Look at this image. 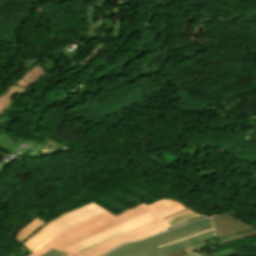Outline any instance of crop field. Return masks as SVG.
Instances as JSON below:
<instances>
[{"label": "crop field", "instance_id": "crop-field-1", "mask_svg": "<svg viewBox=\"0 0 256 256\" xmlns=\"http://www.w3.org/2000/svg\"><path fill=\"white\" fill-rule=\"evenodd\" d=\"M169 229L144 203L115 217L105 211L79 222L50 238L29 256H42L52 248L76 256H100L124 242Z\"/></svg>", "mask_w": 256, "mask_h": 256}, {"label": "crop field", "instance_id": "crop-field-10", "mask_svg": "<svg viewBox=\"0 0 256 256\" xmlns=\"http://www.w3.org/2000/svg\"><path fill=\"white\" fill-rule=\"evenodd\" d=\"M108 0H100L92 9V13L97 16H104L105 10L104 5L106 4Z\"/></svg>", "mask_w": 256, "mask_h": 256}, {"label": "crop field", "instance_id": "crop-field-4", "mask_svg": "<svg viewBox=\"0 0 256 256\" xmlns=\"http://www.w3.org/2000/svg\"><path fill=\"white\" fill-rule=\"evenodd\" d=\"M50 75L52 73L39 64L24 74L0 96V127L7 122V117L9 116L7 110L14 101L12 96L17 93L26 92L25 90L32 87L39 79Z\"/></svg>", "mask_w": 256, "mask_h": 256}, {"label": "crop field", "instance_id": "crop-field-6", "mask_svg": "<svg viewBox=\"0 0 256 256\" xmlns=\"http://www.w3.org/2000/svg\"><path fill=\"white\" fill-rule=\"evenodd\" d=\"M5 128L1 129L0 130V147L2 149H4L5 151L11 153L12 151L18 153V150H19V147L20 145H22L21 143L22 142H29V141H25V140H18V139H14V138H10L8 137V135L5 134ZM29 143H33V144H36L37 147L35 149H33L29 154H28V157H35L37 155V153L42 149V147L44 146L43 144H38V143H34V142H29ZM29 145V144H28ZM27 145V146H28ZM26 146V147H27ZM25 147V148H26ZM23 147H21V155H23L27 149H25ZM24 156V155H23ZM22 156V157H23Z\"/></svg>", "mask_w": 256, "mask_h": 256}, {"label": "crop field", "instance_id": "crop-field-11", "mask_svg": "<svg viewBox=\"0 0 256 256\" xmlns=\"http://www.w3.org/2000/svg\"><path fill=\"white\" fill-rule=\"evenodd\" d=\"M66 254H63V253H60L58 251H55V250H50L48 253H46L45 255L43 256H65Z\"/></svg>", "mask_w": 256, "mask_h": 256}, {"label": "crop field", "instance_id": "crop-field-9", "mask_svg": "<svg viewBox=\"0 0 256 256\" xmlns=\"http://www.w3.org/2000/svg\"><path fill=\"white\" fill-rule=\"evenodd\" d=\"M46 224L44 221L36 218L31 223L27 224L16 236L15 238L21 243L33 234L36 230H38L41 226Z\"/></svg>", "mask_w": 256, "mask_h": 256}, {"label": "crop field", "instance_id": "crop-field-3", "mask_svg": "<svg viewBox=\"0 0 256 256\" xmlns=\"http://www.w3.org/2000/svg\"><path fill=\"white\" fill-rule=\"evenodd\" d=\"M101 211L105 210L92 203L68 214H65L44 226L39 230L38 233H35L34 236L27 240L23 245L32 253L43 246L42 243L56 233Z\"/></svg>", "mask_w": 256, "mask_h": 256}, {"label": "crop field", "instance_id": "crop-field-7", "mask_svg": "<svg viewBox=\"0 0 256 256\" xmlns=\"http://www.w3.org/2000/svg\"><path fill=\"white\" fill-rule=\"evenodd\" d=\"M149 207L162 219L168 215L187 209L182 204L166 198L149 205Z\"/></svg>", "mask_w": 256, "mask_h": 256}, {"label": "crop field", "instance_id": "crop-field-5", "mask_svg": "<svg viewBox=\"0 0 256 256\" xmlns=\"http://www.w3.org/2000/svg\"><path fill=\"white\" fill-rule=\"evenodd\" d=\"M212 219L217 234L216 245L256 235L255 228L235 219L229 214L212 217ZM229 235L232 237L227 240L218 239Z\"/></svg>", "mask_w": 256, "mask_h": 256}, {"label": "crop field", "instance_id": "crop-field-8", "mask_svg": "<svg viewBox=\"0 0 256 256\" xmlns=\"http://www.w3.org/2000/svg\"><path fill=\"white\" fill-rule=\"evenodd\" d=\"M201 217L202 216L187 209V210L181 211L179 213L173 214V215L163 219V221H165L169 226L174 228V227L180 226L182 224H185L191 220H195V219H198Z\"/></svg>", "mask_w": 256, "mask_h": 256}, {"label": "crop field", "instance_id": "crop-field-2", "mask_svg": "<svg viewBox=\"0 0 256 256\" xmlns=\"http://www.w3.org/2000/svg\"><path fill=\"white\" fill-rule=\"evenodd\" d=\"M210 219H200L173 229L167 233L159 234L138 242L127 243L103 256H166L189 246L208 241L215 237L214 230L185 239L183 241L157 249L156 247L182 239L184 237L211 229ZM184 256H199L196 252Z\"/></svg>", "mask_w": 256, "mask_h": 256}, {"label": "crop field", "instance_id": "crop-field-14", "mask_svg": "<svg viewBox=\"0 0 256 256\" xmlns=\"http://www.w3.org/2000/svg\"><path fill=\"white\" fill-rule=\"evenodd\" d=\"M68 256V255H67Z\"/></svg>", "mask_w": 256, "mask_h": 256}, {"label": "crop field", "instance_id": "crop-field-12", "mask_svg": "<svg viewBox=\"0 0 256 256\" xmlns=\"http://www.w3.org/2000/svg\"><path fill=\"white\" fill-rule=\"evenodd\" d=\"M4 162V161H3ZM5 167V165L4 164H0V174H1V172H2V170H3V168Z\"/></svg>", "mask_w": 256, "mask_h": 256}, {"label": "crop field", "instance_id": "crop-field-13", "mask_svg": "<svg viewBox=\"0 0 256 256\" xmlns=\"http://www.w3.org/2000/svg\"><path fill=\"white\" fill-rule=\"evenodd\" d=\"M203 233V232H202ZM200 234V233H199ZM197 235V234H196ZM194 236V235H193ZM191 237V236H190ZM188 238V237H187ZM183 240V239H182ZM180 241V240H179ZM177 242V241H176ZM174 243V242H173ZM171 244V243H170ZM168 245V244H167ZM165 246V245H164ZM162 247V246H161ZM159 248V247H158Z\"/></svg>", "mask_w": 256, "mask_h": 256}]
</instances>
